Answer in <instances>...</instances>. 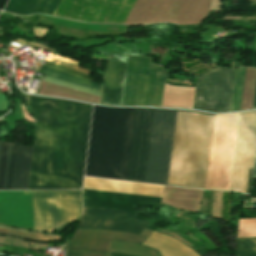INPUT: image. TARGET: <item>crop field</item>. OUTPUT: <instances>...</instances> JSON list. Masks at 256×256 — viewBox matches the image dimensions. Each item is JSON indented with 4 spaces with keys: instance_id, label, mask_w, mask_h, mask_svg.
Returning a JSON list of instances; mask_svg holds the SVG:
<instances>
[{
    "instance_id": "23",
    "label": "crop field",
    "mask_w": 256,
    "mask_h": 256,
    "mask_svg": "<svg viewBox=\"0 0 256 256\" xmlns=\"http://www.w3.org/2000/svg\"><path fill=\"white\" fill-rule=\"evenodd\" d=\"M66 256H108V255L90 254V253H80V252L68 251Z\"/></svg>"
},
{
    "instance_id": "22",
    "label": "crop field",
    "mask_w": 256,
    "mask_h": 256,
    "mask_svg": "<svg viewBox=\"0 0 256 256\" xmlns=\"http://www.w3.org/2000/svg\"><path fill=\"white\" fill-rule=\"evenodd\" d=\"M9 102L3 94H0V111H7Z\"/></svg>"
},
{
    "instance_id": "17",
    "label": "crop field",
    "mask_w": 256,
    "mask_h": 256,
    "mask_svg": "<svg viewBox=\"0 0 256 256\" xmlns=\"http://www.w3.org/2000/svg\"><path fill=\"white\" fill-rule=\"evenodd\" d=\"M41 69L44 70L43 75H47V76H50V77H54V78H57V79H61V80H64V81H68V82H71V83H74V84H78V85H81V86H85V87L92 88V89L100 91L101 85H99V84H95V83H92V82H89V81H86V80L68 75L66 73H63V72H60V71H57V70H54V69H51V68H48V67H45V66H43Z\"/></svg>"
},
{
    "instance_id": "10",
    "label": "crop field",
    "mask_w": 256,
    "mask_h": 256,
    "mask_svg": "<svg viewBox=\"0 0 256 256\" xmlns=\"http://www.w3.org/2000/svg\"><path fill=\"white\" fill-rule=\"evenodd\" d=\"M33 148L0 142V190L28 189Z\"/></svg>"
},
{
    "instance_id": "13",
    "label": "crop field",
    "mask_w": 256,
    "mask_h": 256,
    "mask_svg": "<svg viewBox=\"0 0 256 256\" xmlns=\"http://www.w3.org/2000/svg\"><path fill=\"white\" fill-rule=\"evenodd\" d=\"M84 207L124 210L135 216L132 204L162 207L161 198L84 189Z\"/></svg>"
},
{
    "instance_id": "16",
    "label": "crop field",
    "mask_w": 256,
    "mask_h": 256,
    "mask_svg": "<svg viewBox=\"0 0 256 256\" xmlns=\"http://www.w3.org/2000/svg\"><path fill=\"white\" fill-rule=\"evenodd\" d=\"M0 234L14 235L22 238L33 239L38 241H56L62 238L61 235L48 234V233H33L20 229L0 227Z\"/></svg>"
},
{
    "instance_id": "26",
    "label": "crop field",
    "mask_w": 256,
    "mask_h": 256,
    "mask_svg": "<svg viewBox=\"0 0 256 256\" xmlns=\"http://www.w3.org/2000/svg\"><path fill=\"white\" fill-rule=\"evenodd\" d=\"M256 108V89H255V96H254V104H253V109Z\"/></svg>"
},
{
    "instance_id": "14",
    "label": "crop field",
    "mask_w": 256,
    "mask_h": 256,
    "mask_svg": "<svg viewBox=\"0 0 256 256\" xmlns=\"http://www.w3.org/2000/svg\"><path fill=\"white\" fill-rule=\"evenodd\" d=\"M125 67V63L109 57L103 82L101 103L120 105Z\"/></svg>"
},
{
    "instance_id": "4",
    "label": "crop field",
    "mask_w": 256,
    "mask_h": 256,
    "mask_svg": "<svg viewBox=\"0 0 256 256\" xmlns=\"http://www.w3.org/2000/svg\"><path fill=\"white\" fill-rule=\"evenodd\" d=\"M213 119L177 112L168 183L205 188Z\"/></svg>"
},
{
    "instance_id": "19",
    "label": "crop field",
    "mask_w": 256,
    "mask_h": 256,
    "mask_svg": "<svg viewBox=\"0 0 256 256\" xmlns=\"http://www.w3.org/2000/svg\"><path fill=\"white\" fill-rule=\"evenodd\" d=\"M237 256H256V237L237 238Z\"/></svg>"
},
{
    "instance_id": "5",
    "label": "crop field",
    "mask_w": 256,
    "mask_h": 256,
    "mask_svg": "<svg viewBox=\"0 0 256 256\" xmlns=\"http://www.w3.org/2000/svg\"><path fill=\"white\" fill-rule=\"evenodd\" d=\"M151 56H129L121 105L160 106L168 75Z\"/></svg>"
},
{
    "instance_id": "8",
    "label": "crop field",
    "mask_w": 256,
    "mask_h": 256,
    "mask_svg": "<svg viewBox=\"0 0 256 256\" xmlns=\"http://www.w3.org/2000/svg\"><path fill=\"white\" fill-rule=\"evenodd\" d=\"M136 0H62L54 16L124 24Z\"/></svg>"
},
{
    "instance_id": "7",
    "label": "crop field",
    "mask_w": 256,
    "mask_h": 256,
    "mask_svg": "<svg viewBox=\"0 0 256 256\" xmlns=\"http://www.w3.org/2000/svg\"><path fill=\"white\" fill-rule=\"evenodd\" d=\"M79 190L33 191L34 230L52 232L78 218Z\"/></svg>"
},
{
    "instance_id": "15",
    "label": "crop field",
    "mask_w": 256,
    "mask_h": 256,
    "mask_svg": "<svg viewBox=\"0 0 256 256\" xmlns=\"http://www.w3.org/2000/svg\"><path fill=\"white\" fill-rule=\"evenodd\" d=\"M61 0H9L5 11L28 15L43 13L53 16Z\"/></svg>"
},
{
    "instance_id": "27",
    "label": "crop field",
    "mask_w": 256,
    "mask_h": 256,
    "mask_svg": "<svg viewBox=\"0 0 256 256\" xmlns=\"http://www.w3.org/2000/svg\"><path fill=\"white\" fill-rule=\"evenodd\" d=\"M253 178H256V163H255V169H254V175Z\"/></svg>"
},
{
    "instance_id": "24",
    "label": "crop field",
    "mask_w": 256,
    "mask_h": 256,
    "mask_svg": "<svg viewBox=\"0 0 256 256\" xmlns=\"http://www.w3.org/2000/svg\"><path fill=\"white\" fill-rule=\"evenodd\" d=\"M160 233V232H159ZM167 235V234H166ZM181 242V241H180ZM183 243V242H182ZM184 244V243H183ZM144 246V245H143ZM153 249V248H152ZM156 250V249H155ZM158 251V250H157ZM195 251V250H194ZM159 252V251H158ZM159 254H160V252H159ZM110 256H127V255H121V254H115V253H110L109 254ZM160 256H161V254H160ZM200 256V255H199Z\"/></svg>"
},
{
    "instance_id": "20",
    "label": "crop field",
    "mask_w": 256,
    "mask_h": 256,
    "mask_svg": "<svg viewBox=\"0 0 256 256\" xmlns=\"http://www.w3.org/2000/svg\"><path fill=\"white\" fill-rule=\"evenodd\" d=\"M256 236V218L239 219L237 237Z\"/></svg>"
},
{
    "instance_id": "9",
    "label": "crop field",
    "mask_w": 256,
    "mask_h": 256,
    "mask_svg": "<svg viewBox=\"0 0 256 256\" xmlns=\"http://www.w3.org/2000/svg\"><path fill=\"white\" fill-rule=\"evenodd\" d=\"M236 69L217 67L196 78L193 109L228 112Z\"/></svg>"
},
{
    "instance_id": "21",
    "label": "crop field",
    "mask_w": 256,
    "mask_h": 256,
    "mask_svg": "<svg viewBox=\"0 0 256 256\" xmlns=\"http://www.w3.org/2000/svg\"><path fill=\"white\" fill-rule=\"evenodd\" d=\"M44 65L50 66V67H52V68H55V69H58V70L67 72V73H69V74H72V75H75V76H78V77H81V78H84V79L89 80V81H92V82L94 81V79H93L91 76H87V75H82V74H77V73L70 72V71L65 70V69H63V68H61V67H59V66H57V65H55V64H53V63H50V62H47V63H45Z\"/></svg>"
},
{
    "instance_id": "25",
    "label": "crop field",
    "mask_w": 256,
    "mask_h": 256,
    "mask_svg": "<svg viewBox=\"0 0 256 256\" xmlns=\"http://www.w3.org/2000/svg\"><path fill=\"white\" fill-rule=\"evenodd\" d=\"M7 0H0V10L4 7Z\"/></svg>"
},
{
    "instance_id": "2",
    "label": "crop field",
    "mask_w": 256,
    "mask_h": 256,
    "mask_svg": "<svg viewBox=\"0 0 256 256\" xmlns=\"http://www.w3.org/2000/svg\"><path fill=\"white\" fill-rule=\"evenodd\" d=\"M134 112L94 106L85 176L126 180Z\"/></svg>"
},
{
    "instance_id": "3",
    "label": "crop field",
    "mask_w": 256,
    "mask_h": 256,
    "mask_svg": "<svg viewBox=\"0 0 256 256\" xmlns=\"http://www.w3.org/2000/svg\"><path fill=\"white\" fill-rule=\"evenodd\" d=\"M153 109L136 108L127 180L143 182ZM176 110L154 109L144 182L166 185Z\"/></svg>"
},
{
    "instance_id": "18",
    "label": "crop field",
    "mask_w": 256,
    "mask_h": 256,
    "mask_svg": "<svg viewBox=\"0 0 256 256\" xmlns=\"http://www.w3.org/2000/svg\"><path fill=\"white\" fill-rule=\"evenodd\" d=\"M244 71H245V68L237 69L230 111L239 110Z\"/></svg>"
},
{
    "instance_id": "1",
    "label": "crop field",
    "mask_w": 256,
    "mask_h": 256,
    "mask_svg": "<svg viewBox=\"0 0 256 256\" xmlns=\"http://www.w3.org/2000/svg\"><path fill=\"white\" fill-rule=\"evenodd\" d=\"M37 117L29 189L81 188L92 105L30 96Z\"/></svg>"
},
{
    "instance_id": "12",
    "label": "crop field",
    "mask_w": 256,
    "mask_h": 256,
    "mask_svg": "<svg viewBox=\"0 0 256 256\" xmlns=\"http://www.w3.org/2000/svg\"><path fill=\"white\" fill-rule=\"evenodd\" d=\"M147 221L117 210L84 208L78 228H101L139 234Z\"/></svg>"
},
{
    "instance_id": "6",
    "label": "crop field",
    "mask_w": 256,
    "mask_h": 256,
    "mask_svg": "<svg viewBox=\"0 0 256 256\" xmlns=\"http://www.w3.org/2000/svg\"><path fill=\"white\" fill-rule=\"evenodd\" d=\"M237 116L215 115L206 189L228 190Z\"/></svg>"
},
{
    "instance_id": "11",
    "label": "crop field",
    "mask_w": 256,
    "mask_h": 256,
    "mask_svg": "<svg viewBox=\"0 0 256 256\" xmlns=\"http://www.w3.org/2000/svg\"><path fill=\"white\" fill-rule=\"evenodd\" d=\"M152 230H145L140 236L113 230H82L77 229L65 249L107 254L112 240L131 242L141 245Z\"/></svg>"
}]
</instances>
